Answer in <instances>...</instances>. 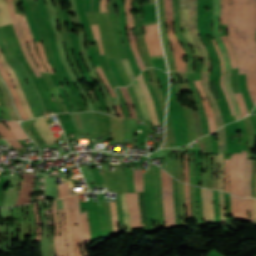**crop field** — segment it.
<instances>
[{
  "label": "crop field",
  "instance_id": "ac0d7876",
  "mask_svg": "<svg viewBox=\"0 0 256 256\" xmlns=\"http://www.w3.org/2000/svg\"><path fill=\"white\" fill-rule=\"evenodd\" d=\"M246 161L247 152L232 154L228 168L230 193L240 197H246L244 185Z\"/></svg>",
  "mask_w": 256,
  "mask_h": 256
},
{
  "label": "crop field",
  "instance_id": "c39391a2",
  "mask_svg": "<svg viewBox=\"0 0 256 256\" xmlns=\"http://www.w3.org/2000/svg\"><path fill=\"white\" fill-rule=\"evenodd\" d=\"M181 9L187 6V0H180Z\"/></svg>",
  "mask_w": 256,
  "mask_h": 256
},
{
  "label": "crop field",
  "instance_id": "028f5c9d",
  "mask_svg": "<svg viewBox=\"0 0 256 256\" xmlns=\"http://www.w3.org/2000/svg\"><path fill=\"white\" fill-rule=\"evenodd\" d=\"M17 139L28 138L20 128V125L17 122H5Z\"/></svg>",
  "mask_w": 256,
  "mask_h": 256
},
{
  "label": "crop field",
  "instance_id": "0bd39190",
  "mask_svg": "<svg viewBox=\"0 0 256 256\" xmlns=\"http://www.w3.org/2000/svg\"><path fill=\"white\" fill-rule=\"evenodd\" d=\"M60 213V219H61V224H62V230H61V250H62V256H67V251H66V240H65V227L63 224V211L62 209L59 210Z\"/></svg>",
  "mask_w": 256,
  "mask_h": 256
},
{
  "label": "crop field",
  "instance_id": "d32e631a",
  "mask_svg": "<svg viewBox=\"0 0 256 256\" xmlns=\"http://www.w3.org/2000/svg\"><path fill=\"white\" fill-rule=\"evenodd\" d=\"M121 204L124 212V223L127 228V233L128 235L131 234V227L129 225V216H128V211H127V205H126V200H125V193H121Z\"/></svg>",
  "mask_w": 256,
  "mask_h": 256
},
{
  "label": "crop field",
  "instance_id": "5866460e",
  "mask_svg": "<svg viewBox=\"0 0 256 256\" xmlns=\"http://www.w3.org/2000/svg\"><path fill=\"white\" fill-rule=\"evenodd\" d=\"M220 153L227 150L225 127L217 130Z\"/></svg>",
  "mask_w": 256,
  "mask_h": 256
},
{
  "label": "crop field",
  "instance_id": "f4fd0767",
  "mask_svg": "<svg viewBox=\"0 0 256 256\" xmlns=\"http://www.w3.org/2000/svg\"><path fill=\"white\" fill-rule=\"evenodd\" d=\"M213 4H214L213 33H214V38L222 54L225 73H226L229 69H231V63L219 34L220 0H213Z\"/></svg>",
  "mask_w": 256,
  "mask_h": 256
},
{
  "label": "crop field",
  "instance_id": "00972430",
  "mask_svg": "<svg viewBox=\"0 0 256 256\" xmlns=\"http://www.w3.org/2000/svg\"><path fill=\"white\" fill-rule=\"evenodd\" d=\"M68 206L70 209V215H71V221H72L73 239H74L76 256H82L80 247H79V238H78L76 223H75L73 196L68 197Z\"/></svg>",
  "mask_w": 256,
  "mask_h": 256
},
{
  "label": "crop field",
  "instance_id": "e52e79f7",
  "mask_svg": "<svg viewBox=\"0 0 256 256\" xmlns=\"http://www.w3.org/2000/svg\"><path fill=\"white\" fill-rule=\"evenodd\" d=\"M168 26V35L171 41L173 54L175 57L177 70H186V64L182 61V56L185 55L183 48L180 46L173 33V17H165Z\"/></svg>",
  "mask_w": 256,
  "mask_h": 256
},
{
  "label": "crop field",
  "instance_id": "0765c3eb",
  "mask_svg": "<svg viewBox=\"0 0 256 256\" xmlns=\"http://www.w3.org/2000/svg\"><path fill=\"white\" fill-rule=\"evenodd\" d=\"M247 202H248V212L251 215L250 217H248V219L250 222H254L251 198H247Z\"/></svg>",
  "mask_w": 256,
  "mask_h": 256
},
{
  "label": "crop field",
  "instance_id": "5d738f31",
  "mask_svg": "<svg viewBox=\"0 0 256 256\" xmlns=\"http://www.w3.org/2000/svg\"><path fill=\"white\" fill-rule=\"evenodd\" d=\"M82 218H83V228H84V234H85V238H86V244L88 246V245L92 244V242H91L90 235H89L86 211L82 214Z\"/></svg>",
  "mask_w": 256,
  "mask_h": 256
},
{
  "label": "crop field",
  "instance_id": "4177f3b9",
  "mask_svg": "<svg viewBox=\"0 0 256 256\" xmlns=\"http://www.w3.org/2000/svg\"><path fill=\"white\" fill-rule=\"evenodd\" d=\"M137 79H138V81L140 83V86H141V88L144 92V95L146 97L148 108H149V111H150V116H151V119H152V123H153V125H158L156 115H155V108H154V105H153V101H152V98H151V96L148 92V89H147V87L144 83L142 74Z\"/></svg>",
  "mask_w": 256,
  "mask_h": 256
},
{
  "label": "crop field",
  "instance_id": "eef30255",
  "mask_svg": "<svg viewBox=\"0 0 256 256\" xmlns=\"http://www.w3.org/2000/svg\"><path fill=\"white\" fill-rule=\"evenodd\" d=\"M230 73H231V70L227 74H225L224 84H225L226 90L228 92L229 98L231 100V103H232V106H233V109H234V112L236 115V119L238 120V119L242 118V116H241L237 101L233 95V90H232V87L230 84Z\"/></svg>",
  "mask_w": 256,
  "mask_h": 256
},
{
  "label": "crop field",
  "instance_id": "ae1a2a85",
  "mask_svg": "<svg viewBox=\"0 0 256 256\" xmlns=\"http://www.w3.org/2000/svg\"><path fill=\"white\" fill-rule=\"evenodd\" d=\"M26 38H27V42H28V45H29V48H30V52L41 72V74H46L48 73V71L46 70V68L43 66L37 52H36V49H35V44H34V40H33V36L32 34H28L26 35Z\"/></svg>",
  "mask_w": 256,
  "mask_h": 256
},
{
  "label": "crop field",
  "instance_id": "ade564c9",
  "mask_svg": "<svg viewBox=\"0 0 256 256\" xmlns=\"http://www.w3.org/2000/svg\"><path fill=\"white\" fill-rule=\"evenodd\" d=\"M194 3H196V0H188V6H190V5L194 4Z\"/></svg>",
  "mask_w": 256,
  "mask_h": 256
},
{
  "label": "crop field",
  "instance_id": "b80d0937",
  "mask_svg": "<svg viewBox=\"0 0 256 256\" xmlns=\"http://www.w3.org/2000/svg\"><path fill=\"white\" fill-rule=\"evenodd\" d=\"M92 28H93V32H94V43H95L96 54L103 53L98 26H95Z\"/></svg>",
  "mask_w": 256,
  "mask_h": 256
},
{
  "label": "crop field",
  "instance_id": "dbb93151",
  "mask_svg": "<svg viewBox=\"0 0 256 256\" xmlns=\"http://www.w3.org/2000/svg\"><path fill=\"white\" fill-rule=\"evenodd\" d=\"M58 190H59V198L68 196V185L67 184L58 185Z\"/></svg>",
  "mask_w": 256,
  "mask_h": 256
},
{
  "label": "crop field",
  "instance_id": "214f88e0",
  "mask_svg": "<svg viewBox=\"0 0 256 256\" xmlns=\"http://www.w3.org/2000/svg\"><path fill=\"white\" fill-rule=\"evenodd\" d=\"M181 28L183 30L184 36H185L188 44L193 47V52L195 54V57H201V54H200L197 46L193 42V40L190 36V33H189L188 18H187V7L185 9L181 10Z\"/></svg>",
  "mask_w": 256,
  "mask_h": 256
},
{
  "label": "crop field",
  "instance_id": "0fb4a251",
  "mask_svg": "<svg viewBox=\"0 0 256 256\" xmlns=\"http://www.w3.org/2000/svg\"><path fill=\"white\" fill-rule=\"evenodd\" d=\"M164 6H165V16L173 15L171 0H164Z\"/></svg>",
  "mask_w": 256,
  "mask_h": 256
},
{
  "label": "crop field",
  "instance_id": "d14b1444",
  "mask_svg": "<svg viewBox=\"0 0 256 256\" xmlns=\"http://www.w3.org/2000/svg\"><path fill=\"white\" fill-rule=\"evenodd\" d=\"M252 202H253L254 217H255V224H256V199L252 198Z\"/></svg>",
  "mask_w": 256,
  "mask_h": 256
},
{
  "label": "crop field",
  "instance_id": "8a807250",
  "mask_svg": "<svg viewBox=\"0 0 256 256\" xmlns=\"http://www.w3.org/2000/svg\"><path fill=\"white\" fill-rule=\"evenodd\" d=\"M228 38L239 65V74L246 73L253 104L256 103V0H231Z\"/></svg>",
  "mask_w": 256,
  "mask_h": 256
},
{
  "label": "crop field",
  "instance_id": "bd1437ed",
  "mask_svg": "<svg viewBox=\"0 0 256 256\" xmlns=\"http://www.w3.org/2000/svg\"><path fill=\"white\" fill-rule=\"evenodd\" d=\"M167 175V189H168V204H169V214L171 217L172 227H176V221L173 211V194H172V186H171V176Z\"/></svg>",
  "mask_w": 256,
  "mask_h": 256
},
{
  "label": "crop field",
  "instance_id": "1d83c4d3",
  "mask_svg": "<svg viewBox=\"0 0 256 256\" xmlns=\"http://www.w3.org/2000/svg\"><path fill=\"white\" fill-rule=\"evenodd\" d=\"M172 185H173V194H174V211L177 221V227L182 226L180 221V215H179V202H178V185L177 180L172 178Z\"/></svg>",
  "mask_w": 256,
  "mask_h": 256
},
{
  "label": "crop field",
  "instance_id": "e1f06a70",
  "mask_svg": "<svg viewBox=\"0 0 256 256\" xmlns=\"http://www.w3.org/2000/svg\"><path fill=\"white\" fill-rule=\"evenodd\" d=\"M135 192L143 191L142 169L134 170Z\"/></svg>",
  "mask_w": 256,
  "mask_h": 256
},
{
  "label": "crop field",
  "instance_id": "22f410ed",
  "mask_svg": "<svg viewBox=\"0 0 256 256\" xmlns=\"http://www.w3.org/2000/svg\"><path fill=\"white\" fill-rule=\"evenodd\" d=\"M0 62L1 64L3 65V67L7 70V72L9 73L10 77L12 78L13 82H14V85H15V88L20 96V99H21V102L23 104V107H24V110L26 112V114L28 115L29 118H32L33 115H32V112L30 110V107L26 101V98L20 88V84H19V81L14 73V71L10 68V66L7 64L6 60L4 59V57L2 56L1 52H0Z\"/></svg>",
  "mask_w": 256,
  "mask_h": 256
},
{
  "label": "crop field",
  "instance_id": "425ffa30",
  "mask_svg": "<svg viewBox=\"0 0 256 256\" xmlns=\"http://www.w3.org/2000/svg\"><path fill=\"white\" fill-rule=\"evenodd\" d=\"M219 203H220V211H221V224L226 222L225 217V207H224V200H223V192L219 191Z\"/></svg>",
  "mask_w": 256,
  "mask_h": 256
},
{
  "label": "crop field",
  "instance_id": "d9b57169",
  "mask_svg": "<svg viewBox=\"0 0 256 256\" xmlns=\"http://www.w3.org/2000/svg\"><path fill=\"white\" fill-rule=\"evenodd\" d=\"M202 85H203V89L208 97L209 103L213 109V113L215 115V119H216V126L217 128L221 127L222 125H224L223 120H222V116L218 110V107L216 105V102L208 88V76L205 74H202Z\"/></svg>",
  "mask_w": 256,
  "mask_h": 256
},
{
  "label": "crop field",
  "instance_id": "120bbe31",
  "mask_svg": "<svg viewBox=\"0 0 256 256\" xmlns=\"http://www.w3.org/2000/svg\"><path fill=\"white\" fill-rule=\"evenodd\" d=\"M10 23L8 9L4 0H0V25Z\"/></svg>",
  "mask_w": 256,
  "mask_h": 256
},
{
  "label": "crop field",
  "instance_id": "cbeb9de0",
  "mask_svg": "<svg viewBox=\"0 0 256 256\" xmlns=\"http://www.w3.org/2000/svg\"><path fill=\"white\" fill-rule=\"evenodd\" d=\"M119 88H120V90H121V92H122V94H123V96H124V98H125V100H126V102L128 104L131 118H137L138 117V118L143 119V115H142V113L140 111V108H139V105H138V101H137V97H136V95H135V93L133 91L132 86L129 85L127 87V89L126 88H122V87H119ZM127 90L130 93V96L132 98L133 103H132V101H131V99L129 97V94H128ZM133 104L135 106L137 117H136V114H135V110H134Z\"/></svg>",
  "mask_w": 256,
  "mask_h": 256
},
{
  "label": "crop field",
  "instance_id": "5142ce71",
  "mask_svg": "<svg viewBox=\"0 0 256 256\" xmlns=\"http://www.w3.org/2000/svg\"><path fill=\"white\" fill-rule=\"evenodd\" d=\"M206 192H208V205H209V215H210V221L208 216V208H207V195ZM202 203H203V216H204V224L209 223H215L214 219V212H213V192L209 189H202Z\"/></svg>",
  "mask_w": 256,
  "mask_h": 256
},
{
  "label": "crop field",
  "instance_id": "7b73153f",
  "mask_svg": "<svg viewBox=\"0 0 256 256\" xmlns=\"http://www.w3.org/2000/svg\"><path fill=\"white\" fill-rule=\"evenodd\" d=\"M29 131L35 137V139L38 141L40 146L44 144L43 141L41 140V138L39 137L38 133L36 132V130L33 128V126H31Z\"/></svg>",
  "mask_w": 256,
  "mask_h": 256
},
{
  "label": "crop field",
  "instance_id": "dafd665d",
  "mask_svg": "<svg viewBox=\"0 0 256 256\" xmlns=\"http://www.w3.org/2000/svg\"><path fill=\"white\" fill-rule=\"evenodd\" d=\"M63 201V210L66 220V233H67V246H68V256H75L73 252V239H72V230L70 226L69 213L67 207V198L62 199Z\"/></svg>",
  "mask_w": 256,
  "mask_h": 256
},
{
  "label": "crop field",
  "instance_id": "28ad6ade",
  "mask_svg": "<svg viewBox=\"0 0 256 256\" xmlns=\"http://www.w3.org/2000/svg\"><path fill=\"white\" fill-rule=\"evenodd\" d=\"M132 9L131 7V0H125V10H126V18H127V26H128V37H129V41H130V46H131V49L135 55V58L137 60V63L140 67V69H144L145 66L140 58V54H139V51L136 47V44H135V39H134V36H133V31H129V28H132L134 27V23H133V15H131L129 13L128 10Z\"/></svg>",
  "mask_w": 256,
  "mask_h": 256
},
{
  "label": "crop field",
  "instance_id": "5a996713",
  "mask_svg": "<svg viewBox=\"0 0 256 256\" xmlns=\"http://www.w3.org/2000/svg\"><path fill=\"white\" fill-rule=\"evenodd\" d=\"M174 30H175L176 37L178 38L179 42L183 45V47L185 49L186 59H187V70L193 71L194 56L192 54V51H191L189 45L184 40L182 31L180 29V11L177 12L176 15H174Z\"/></svg>",
  "mask_w": 256,
  "mask_h": 256
},
{
  "label": "crop field",
  "instance_id": "b54c1fbb",
  "mask_svg": "<svg viewBox=\"0 0 256 256\" xmlns=\"http://www.w3.org/2000/svg\"><path fill=\"white\" fill-rule=\"evenodd\" d=\"M108 62L110 64L111 71H112V73H113V75H114L118 85L119 86H125L124 82H123V80H122V78H121V76H120V74H119V72H118V70L116 68V65H115L114 61L110 60Z\"/></svg>",
  "mask_w": 256,
  "mask_h": 256
},
{
  "label": "crop field",
  "instance_id": "1f2cbd36",
  "mask_svg": "<svg viewBox=\"0 0 256 256\" xmlns=\"http://www.w3.org/2000/svg\"><path fill=\"white\" fill-rule=\"evenodd\" d=\"M33 208H34V212H35V218H36L37 229H38V234H37L36 240H40V231H41V228L39 227V225L41 224V222H40V218H39V213H38V210H37V204H36V202H34Z\"/></svg>",
  "mask_w": 256,
  "mask_h": 256
},
{
  "label": "crop field",
  "instance_id": "733c2abd",
  "mask_svg": "<svg viewBox=\"0 0 256 256\" xmlns=\"http://www.w3.org/2000/svg\"><path fill=\"white\" fill-rule=\"evenodd\" d=\"M23 182H22V189L19 193L18 204L29 203L31 198V191L33 185V175L23 174Z\"/></svg>",
  "mask_w": 256,
  "mask_h": 256
},
{
  "label": "crop field",
  "instance_id": "730fd06b",
  "mask_svg": "<svg viewBox=\"0 0 256 256\" xmlns=\"http://www.w3.org/2000/svg\"><path fill=\"white\" fill-rule=\"evenodd\" d=\"M161 179H162V199H163V209H164V219L166 228L171 227L170 217L168 214V205H167V189H166V176L165 171L161 169Z\"/></svg>",
  "mask_w": 256,
  "mask_h": 256
},
{
  "label": "crop field",
  "instance_id": "dd49c442",
  "mask_svg": "<svg viewBox=\"0 0 256 256\" xmlns=\"http://www.w3.org/2000/svg\"><path fill=\"white\" fill-rule=\"evenodd\" d=\"M102 172L110 191L129 192L122 169L113 172L102 169Z\"/></svg>",
  "mask_w": 256,
  "mask_h": 256
},
{
  "label": "crop field",
  "instance_id": "c21b1889",
  "mask_svg": "<svg viewBox=\"0 0 256 256\" xmlns=\"http://www.w3.org/2000/svg\"><path fill=\"white\" fill-rule=\"evenodd\" d=\"M251 165H252V160L248 159L247 167H246V193H247V197H251V192H250Z\"/></svg>",
  "mask_w": 256,
  "mask_h": 256
},
{
  "label": "crop field",
  "instance_id": "9d1cf04e",
  "mask_svg": "<svg viewBox=\"0 0 256 256\" xmlns=\"http://www.w3.org/2000/svg\"><path fill=\"white\" fill-rule=\"evenodd\" d=\"M228 163H229V159L225 160V165H224V183H225V191H227V192H229L228 178H227Z\"/></svg>",
  "mask_w": 256,
  "mask_h": 256
},
{
  "label": "crop field",
  "instance_id": "4a817a6b",
  "mask_svg": "<svg viewBox=\"0 0 256 256\" xmlns=\"http://www.w3.org/2000/svg\"><path fill=\"white\" fill-rule=\"evenodd\" d=\"M34 126L38 130L39 134L45 139V141L48 142V145L57 142V139L46 123L44 117L37 119V121L34 123Z\"/></svg>",
  "mask_w": 256,
  "mask_h": 256
},
{
  "label": "crop field",
  "instance_id": "89e229c0",
  "mask_svg": "<svg viewBox=\"0 0 256 256\" xmlns=\"http://www.w3.org/2000/svg\"><path fill=\"white\" fill-rule=\"evenodd\" d=\"M122 61H123L124 68H125L128 76H129V78H130V80L132 82L135 79V76H134V73H133V71H132V69H131V67L129 65L128 59L124 58V59H122Z\"/></svg>",
  "mask_w": 256,
  "mask_h": 256
},
{
  "label": "crop field",
  "instance_id": "d23c7cc5",
  "mask_svg": "<svg viewBox=\"0 0 256 256\" xmlns=\"http://www.w3.org/2000/svg\"><path fill=\"white\" fill-rule=\"evenodd\" d=\"M185 198H186V211L187 219L191 220V211H190V198H189V185L185 184Z\"/></svg>",
  "mask_w": 256,
  "mask_h": 256
},
{
  "label": "crop field",
  "instance_id": "d3111659",
  "mask_svg": "<svg viewBox=\"0 0 256 256\" xmlns=\"http://www.w3.org/2000/svg\"><path fill=\"white\" fill-rule=\"evenodd\" d=\"M132 86L137 94V97H138V100L140 102V107H141V110H142V113L144 115V118L146 120H150V116H149V112H148V108H147V104H146V101H145V97L141 91V88L137 82V80H135L133 83H132Z\"/></svg>",
  "mask_w": 256,
  "mask_h": 256
},
{
  "label": "crop field",
  "instance_id": "ae633e8c",
  "mask_svg": "<svg viewBox=\"0 0 256 256\" xmlns=\"http://www.w3.org/2000/svg\"><path fill=\"white\" fill-rule=\"evenodd\" d=\"M212 40H213V39H212ZM213 43H214V46H215V48H216V50H217V53H218V55H219V57H220V61H221V71H222V74H224L223 63H222L220 51H219V49H218V47H217V45H216V43H215L214 40H213Z\"/></svg>",
  "mask_w": 256,
  "mask_h": 256
},
{
  "label": "crop field",
  "instance_id": "d1516ede",
  "mask_svg": "<svg viewBox=\"0 0 256 256\" xmlns=\"http://www.w3.org/2000/svg\"><path fill=\"white\" fill-rule=\"evenodd\" d=\"M187 82L192 90L194 99H195V103L199 112V116H200V120H201V125H202V129H203V134H208V125H207V119H206V115H205V111L203 109L202 103H201V99L199 94L197 93L194 83H193V73L192 72H187Z\"/></svg>",
  "mask_w": 256,
  "mask_h": 256
},
{
  "label": "crop field",
  "instance_id": "0f1d7ab4",
  "mask_svg": "<svg viewBox=\"0 0 256 256\" xmlns=\"http://www.w3.org/2000/svg\"><path fill=\"white\" fill-rule=\"evenodd\" d=\"M106 2H107V0H101V3H100V13L107 12L106 11Z\"/></svg>",
  "mask_w": 256,
  "mask_h": 256
},
{
  "label": "crop field",
  "instance_id": "412701ff",
  "mask_svg": "<svg viewBox=\"0 0 256 256\" xmlns=\"http://www.w3.org/2000/svg\"><path fill=\"white\" fill-rule=\"evenodd\" d=\"M188 17H189V28L191 32V36L194 39L196 45L198 46L199 50L202 53L203 59H204V65L202 69V73H209V60L207 56V51L204 48V45L199 39L198 36V30H197V25H196V4L192 5L188 8Z\"/></svg>",
  "mask_w": 256,
  "mask_h": 256
},
{
  "label": "crop field",
  "instance_id": "34b2d1b8",
  "mask_svg": "<svg viewBox=\"0 0 256 256\" xmlns=\"http://www.w3.org/2000/svg\"><path fill=\"white\" fill-rule=\"evenodd\" d=\"M6 1V5L9 9V13H10V18H11V22H12V25L14 27V30L16 32V35L18 37V40H19V43H20V47L30 65V67L32 68L34 74L36 75V77H39L41 76L38 68L36 67L34 61L32 60L28 50H27V46H26V39H25V36H24V33H23V30L18 22V19H17V15H16V12L14 10V4L12 2V0H5Z\"/></svg>",
  "mask_w": 256,
  "mask_h": 256
},
{
  "label": "crop field",
  "instance_id": "92a150f3",
  "mask_svg": "<svg viewBox=\"0 0 256 256\" xmlns=\"http://www.w3.org/2000/svg\"><path fill=\"white\" fill-rule=\"evenodd\" d=\"M74 201H75V214H76L77 227H78V233H79V237H80L81 248H82L84 256H90L86 250V244H85V239H84V235H83L82 219H81V215H80L79 196L78 195L74 196Z\"/></svg>",
  "mask_w": 256,
  "mask_h": 256
},
{
  "label": "crop field",
  "instance_id": "e1d0b9f6",
  "mask_svg": "<svg viewBox=\"0 0 256 256\" xmlns=\"http://www.w3.org/2000/svg\"><path fill=\"white\" fill-rule=\"evenodd\" d=\"M84 3H85L86 12L92 11V9H91V0H84Z\"/></svg>",
  "mask_w": 256,
  "mask_h": 256
},
{
  "label": "crop field",
  "instance_id": "750c4746",
  "mask_svg": "<svg viewBox=\"0 0 256 256\" xmlns=\"http://www.w3.org/2000/svg\"><path fill=\"white\" fill-rule=\"evenodd\" d=\"M52 214H53V220L55 224L54 244H55L57 256H61L60 244H59V223H58L57 212H56V201H53V204H52Z\"/></svg>",
  "mask_w": 256,
  "mask_h": 256
},
{
  "label": "crop field",
  "instance_id": "73cf0c24",
  "mask_svg": "<svg viewBox=\"0 0 256 256\" xmlns=\"http://www.w3.org/2000/svg\"><path fill=\"white\" fill-rule=\"evenodd\" d=\"M222 165H223V153L219 154V166H220V176H219V183L218 188L223 191V174H222Z\"/></svg>",
  "mask_w": 256,
  "mask_h": 256
},
{
  "label": "crop field",
  "instance_id": "c035e120",
  "mask_svg": "<svg viewBox=\"0 0 256 256\" xmlns=\"http://www.w3.org/2000/svg\"><path fill=\"white\" fill-rule=\"evenodd\" d=\"M110 209H111L112 225H113V228H114V234H119L118 220H117V214H116V203L115 202H110Z\"/></svg>",
  "mask_w": 256,
  "mask_h": 256
},
{
  "label": "crop field",
  "instance_id": "c5b07064",
  "mask_svg": "<svg viewBox=\"0 0 256 256\" xmlns=\"http://www.w3.org/2000/svg\"><path fill=\"white\" fill-rule=\"evenodd\" d=\"M1 144H6V142H4L3 140H0V145Z\"/></svg>",
  "mask_w": 256,
  "mask_h": 256
},
{
  "label": "crop field",
  "instance_id": "db79e9e6",
  "mask_svg": "<svg viewBox=\"0 0 256 256\" xmlns=\"http://www.w3.org/2000/svg\"><path fill=\"white\" fill-rule=\"evenodd\" d=\"M184 164H185V171H184L185 182L189 183V175H188L189 168L187 164V154H185Z\"/></svg>",
  "mask_w": 256,
  "mask_h": 256
},
{
  "label": "crop field",
  "instance_id": "3316defc",
  "mask_svg": "<svg viewBox=\"0 0 256 256\" xmlns=\"http://www.w3.org/2000/svg\"><path fill=\"white\" fill-rule=\"evenodd\" d=\"M145 29H146L145 42H146V48L149 56L155 55L153 46H152V39H153V45H154L156 55H163L160 42L158 39V34H157V24L151 25L152 39H151L150 25H145Z\"/></svg>",
  "mask_w": 256,
  "mask_h": 256
},
{
  "label": "crop field",
  "instance_id": "25e5ab78",
  "mask_svg": "<svg viewBox=\"0 0 256 256\" xmlns=\"http://www.w3.org/2000/svg\"><path fill=\"white\" fill-rule=\"evenodd\" d=\"M235 95H236V98H237V101H238V104H239L242 116H245L246 114H248V112H247V109L245 107V103H244L242 94L241 93H237Z\"/></svg>",
  "mask_w": 256,
  "mask_h": 256
},
{
  "label": "crop field",
  "instance_id": "a9b5d70f",
  "mask_svg": "<svg viewBox=\"0 0 256 256\" xmlns=\"http://www.w3.org/2000/svg\"><path fill=\"white\" fill-rule=\"evenodd\" d=\"M196 84H197L199 92L202 95V98L205 97V94H204V92L202 90V86H201V80H197ZM202 103H203L205 111H206V115H207L208 122H209V130H210V133H211V132L216 130L214 115H213V113L210 109V106H209V103H208L207 99L205 101H203V99H202Z\"/></svg>",
  "mask_w": 256,
  "mask_h": 256
},
{
  "label": "crop field",
  "instance_id": "d8731c3e",
  "mask_svg": "<svg viewBox=\"0 0 256 256\" xmlns=\"http://www.w3.org/2000/svg\"><path fill=\"white\" fill-rule=\"evenodd\" d=\"M128 211L130 215V225L132 230L143 228L138 205V193H126Z\"/></svg>",
  "mask_w": 256,
  "mask_h": 256
},
{
  "label": "crop field",
  "instance_id": "03da06ac",
  "mask_svg": "<svg viewBox=\"0 0 256 256\" xmlns=\"http://www.w3.org/2000/svg\"><path fill=\"white\" fill-rule=\"evenodd\" d=\"M222 39H223V42H224V44H225V46H226V48L228 50L229 57H230L231 63H232V68H237L234 52H233V50H232V48H231V46H230V44L228 42L227 37L223 36Z\"/></svg>",
  "mask_w": 256,
  "mask_h": 256
},
{
  "label": "crop field",
  "instance_id": "447ae74e",
  "mask_svg": "<svg viewBox=\"0 0 256 256\" xmlns=\"http://www.w3.org/2000/svg\"><path fill=\"white\" fill-rule=\"evenodd\" d=\"M37 46H38V50H39V52H40V54H41V56H42V58H43V60H44V62H45V64H46L47 68H48L51 72H53V69L50 67V65L48 64V62H47V60H46V58H45L42 45H41V44H37ZM49 70H48V71H49ZM50 71H49V72H50Z\"/></svg>",
  "mask_w": 256,
  "mask_h": 256
},
{
  "label": "crop field",
  "instance_id": "1d79db26",
  "mask_svg": "<svg viewBox=\"0 0 256 256\" xmlns=\"http://www.w3.org/2000/svg\"><path fill=\"white\" fill-rule=\"evenodd\" d=\"M172 158V176L177 178V162H176V153L171 154Z\"/></svg>",
  "mask_w": 256,
  "mask_h": 256
},
{
  "label": "crop field",
  "instance_id": "78b8030e",
  "mask_svg": "<svg viewBox=\"0 0 256 256\" xmlns=\"http://www.w3.org/2000/svg\"><path fill=\"white\" fill-rule=\"evenodd\" d=\"M172 2H173V13H176L178 10H180L179 0H172Z\"/></svg>",
  "mask_w": 256,
  "mask_h": 256
},
{
  "label": "crop field",
  "instance_id": "bc2a9ffb",
  "mask_svg": "<svg viewBox=\"0 0 256 256\" xmlns=\"http://www.w3.org/2000/svg\"><path fill=\"white\" fill-rule=\"evenodd\" d=\"M230 199H231L232 219H242V220L248 221L247 219H244V218H247V203H246V200H238V199L233 197L235 216L244 217V218H238V217H234L233 202H232V196L231 195H230ZM239 199H246V198H239Z\"/></svg>",
  "mask_w": 256,
  "mask_h": 256
}]
</instances>
